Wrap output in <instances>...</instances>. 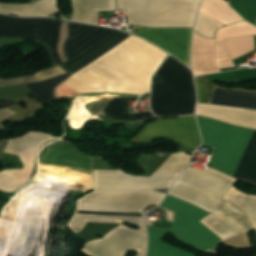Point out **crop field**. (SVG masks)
I'll use <instances>...</instances> for the list:
<instances>
[{"label":"crop field","instance_id":"obj_23","mask_svg":"<svg viewBox=\"0 0 256 256\" xmlns=\"http://www.w3.org/2000/svg\"><path fill=\"white\" fill-rule=\"evenodd\" d=\"M63 73H66V72L63 71L60 67L55 66L50 69L36 73L35 75H32V76L14 78V79H9V80H1L0 79V86L17 84V83L39 82V81L63 74Z\"/></svg>","mask_w":256,"mask_h":256},{"label":"crop field","instance_id":"obj_22","mask_svg":"<svg viewBox=\"0 0 256 256\" xmlns=\"http://www.w3.org/2000/svg\"><path fill=\"white\" fill-rule=\"evenodd\" d=\"M190 160L191 156L186 153L173 154L153 176L183 171L189 165Z\"/></svg>","mask_w":256,"mask_h":256},{"label":"crop field","instance_id":"obj_6","mask_svg":"<svg viewBox=\"0 0 256 256\" xmlns=\"http://www.w3.org/2000/svg\"><path fill=\"white\" fill-rule=\"evenodd\" d=\"M128 23L146 27H192L199 0H117Z\"/></svg>","mask_w":256,"mask_h":256},{"label":"crop field","instance_id":"obj_3","mask_svg":"<svg viewBox=\"0 0 256 256\" xmlns=\"http://www.w3.org/2000/svg\"><path fill=\"white\" fill-rule=\"evenodd\" d=\"M60 25L61 21L55 19L18 18L0 15V37L29 38L46 45L49 48L52 62L55 66L62 63L56 50ZM110 31L112 29L69 22V38L63 47L65 57H70ZM128 36L130 34L114 30L66 59L67 62L60 65V67L71 75L121 43Z\"/></svg>","mask_w":256,"mask_h":256},{"label":"crop field","instance_id":"obj_28","mask_svg":"<svg viewBox=\"0 0 256 256\" xmlns=\"http://www.w3.org/2000/svg\"><path fill=\"white\" fill-rule=\"evenodd\" d=\"M13 114H15V113L12 112V111H9V110H7V109L1 110V111H0V120L6 118V117H8V116H11V115H13Z\"/></svg>","mask_w":256,"mask_h":256},{"label":"crop field","instance_id":"obj_20","mask_svg":"<svg viewBox=\"0 0 256 256\" xmlns=\"http://www.w3.org/2000/svg\"><path fill=\"white\" fill-rule=\"evenodd\" d=\"M70 76L67 74L44 81L38 84H25L34 94L35 102L55 98V89Z\"/></svg>","mask_w":256,"mask_h":256},{"label":"crop field","instance_id":"obj_24","mask_svg":"<svg viewBox=\"0 0 256 256\" xmlns=\"http://www.w3.org/2000/svg\"><path fill=\"white\" fill-rule=\"evenodd\" d=\"M222 27L221 24L198 14L195 31L207 37L214 38L215 30Z\"/></svg>","mask_w":256,"mask_h":256},{"label":"crop field","instance_id":"obj_25","mask_svg":"<svg viewBox=\"0 0 256 256\" xmlns=\"http://www.w3.org/2000/svg\"><path fill=\"white\" fill-rule=\"evenodd\" d=\"M216 58L219 68L235 67L232 63L224 39L215 40Z\"/></svg>","mask_w":256,"mask_h":256},{"label":"crop field","instance_id":"obj_29","mask_svg":"<svg viewBox=\"0 0 256 256\" xmlns=\"http://www.w3.org/2000/svg\"><path fill=\"white\" fill-rule=\"evenodd\" d=\"M13 104H16V103L8 99L0 100V109Z\"/></svg>","mask_w":256,"mask_h":256},{"label":"crop field","instance_id":"obj_30","mask_svg":"<svg viewBox=\"0 0 256 256\" xmlns=\"http://www.w3.org/2000/svg\"><path fill=\"white\" fill-rule=\"evenodd\" d=\"M228 2V0H226Z\"/></svg>","mask_w":256,"mask_h":256},{"label":"crop field","instance_id":"obj_8","mask_svg":"<svg viewBox=\"0 0 256 256\" xmlns=\"http://www.w3.org/2000/svg\"><path fill=\"white\" fill-rule=\"evenodd\" d=\"M196 117L203 137V145L216 149L210 162L213 164L212 168L229 175L251 129Z\"/></svg>","mask_w":256,"mask_h":256},{"label":"crop field","instance_id":"obj_11","mask_svg":"<svg viewBox=\"0 0 256 256\" xmlns=\"http://www.w3.org/2000/svg\"><path fill=\"white\" fill-rule=\"evenodd\" d=\"M193 29H145L134 34L139 35L189 65L190 40ZM166 51V52H167Z\"/></svg>","mask_w":256,"mask_h":256},{"label":"crop field","instance_id":"obj_19","mask_svg":"<svg viewBox=\"0 0 256 256\" xmlns=\"http://www.w3.org/2000/svg\"><path fill=\"white\" fill-rule=\"evenodd\" d=\"M147 228L149 237L147 256H195L184 250L162 242L161 238L166 233L165 230L149 226H147Z\"/></svg>","mask_w":256,"mask_h":256},{"label":"crop field","instance_id":"obj_13","mask_svg":"<svg viewBox=\"0 0 256 256\" xmlns=\"http://www.w3.org/2000/svg\"><path fill=\"white\" fill-rule=\"evenodd\" d=\"M138 97H110L98 117H102L108 121H133L135 123H142L147 117H152L151 112L131 113L129 112L130 101H136Z\"/></svg>","mask_w":256,"mask_h":256},{"label":"crop field","instance_id":"obj_1","mask_svg":"<svg viewBox=\"0 0 256 256\" xmlns=\"http://www.w3.org/2000/svg\"><path fill=\"white\" fill-rule=\"evenodd\" d=\"M181 173L166 176L142 178L123 172L93 171V190H156L170 188ZM164 193L156 191H93L78 199V211L141 213L150 204L158 205ZM107 215H140L126 213H95ZM82 215L74 214L68 227L74 232L81 231L86 221L123 223L124 221L144 227L142 217Z\"/></svg>","mask_w":256,"mask_h":256},{"label":"crop field","instance_id":"obj_18","mask_svg":"<svg viewBox=\"0 0 256 256\" xmlns=\"http://www.w3.org/2000/svg\"><path fill=\"white\" fill-rule=\"evenodd\" d=\"M209 103L256 109V94L213 89Z\"/></svg>","mask_w":256,"mask_h":256},{"label":"crop field","instance_id":"obj_16","mask_svg":"<svg viewBox=\"0 0 256 256\" xmlns=\"http://www.w3.org/2000/svg\"><path fill=\"white\" fill-rule=\"evenodd\" d=\"M199 14L225 26L243 19L223 0H202Z\"/></svg>","mask_w":256,"mask_h":256},{"label":"crop field","instance_id":"obj_14","mask_svg":"<svg viewBox=\"0 0 256 256\" xmlns=\"http://www.w3.org/2000/svg\"><path fill=\"white\" fill-rule=\"evenodd\" d=\"M230 176L256 184V130H251Z\"/></svg>","mask_w":256,"mask_h":256},{"label":"crop field","instance_id":"obj_9","mask_svg":"<svg viewBox=\"0 0 256 256\" xmlns=\"http://www.w3.org/2000/svg\"><path fill=\"white\" fill-rule=\"evenodd\" d=\"M167 137L181 147V152H193L200 144L195 117L156 119L144 125L132 140L147 143L155 138Z\"/></svg>","mask_w":256,"mask_h":256},{"label":"crop field","instance_id":"obj_15","mask_svg":"<svg viewBox=\"0 0 256 256\" xmlns=\"http://www.w3.org/2000/svg\"><path fill=\"white\" fill-rule=\"evenodd\" d=\"M74 21L96 24L97 11L116 10L115 0H72Z\"/></svg>","mask_w":256,"mask_h":256},{"label":"crop field","instance_id":"obj_12","mask_svg":"<svg viewBox=\"0 0 256 256\" xmlns=\"http://www.w3.org/2000/svg\"><path fill=\"white\" fill-rule=\"evenodd\" d=\"M196 114L233 125L256 129V111L213 105H197Z\"/></svg>","mask_w":256,"mask_h":256},{"label":"crop field","instance_id":"obj_26","mask_svg":"<svg viewBox=\"0 0 256 256\" xmlns=\"http://www.w3.org/2000/svg\"><path fill=\"white\" fill-rule=\"evenodd\" d=\"M195 80L198 93V102L208 103L214 84L209 83L205 76L196 77Z\"/></svg>","mask_w":256,"mask_h":256},{"label":"crop field","instance_id":"obj_4","mask_svg":"<svg viewBox=\"0 0 256 256\" xmlns=\"http://www.w3.org/2000/svg\"><path fill=\"white\" fill-rule=\"evenodd\" d=\"M166 55V52L132 35L97 60L149 86L151 76ZM97 60L72 76L102 92L149 93V87Z\"/></svg>","mask_w":256,"mask_h":256},{"label":"crop field","instance_id":"obj_5","mask_svg":"<svg viewBox=\"0 0 256 256\" xmlns=\"http://www.w3.org/2000/svg\"><path fill=\"white\" fill-rule=\"evenodd\" d=\"M155 76L151 106L157 116H174L194 113L195 93L192 73L177 60L168 56Z\"/></svg>","mask_w":256,"mask_h":256},{"label":"crop field","instance_id":"obj_7","mask_svg":"<svg viewBox=\"0 0 256 256\" xmlns=\"http://www.w3.org/2000/svg\"><path fill=\"white\" fill-rule=\"evenodd\" d=\"M235 182L237 180L213 169L205 173L188 168L175 182L169 195L191 202L210 213Z\"/></svg>","mask_w":256,"mask_h":256},{"label":"crop field","instance_id":"obj_27","mask_svg":"<svg viewBox=\"0 0 256 256\" xmlns=\"http://www.w3.org/2000/svg\"><path fill=\"white\" fill-rule=\"evenodd\" d=\"M64 83L83 93H100V91L92 88L91 86L79 81L78 79L72 76Z\"/></svg>","mask_w":256,"mask_h":256},{"label":"crop field","instance_id":"obj_10","mask_svg":"<svg viewBox=\"0 0 256 256\" xmlns=\"http://www.w3.org/2000/svg\"><path fill=\"white\" fill-rule=\"evenodd\" d=\"M82 251L90 256H127L128 251H137L136 256H144L146 252L145 228L133 230L120 225L103 239L87 243Z\"/></svg>","mask_w":256,"mask_h":256},{"label":"crop field","instance_id":"obj_17","mask_svg":"<svg viewBox=\"0 0 256 256\" xmlns=\"http://www.w3.org/2000/svg\"><path fill=\"white\" fill-rule=\"evenodd\" d=\"M58 11L57 0H39L33 4L13 5L0 3V13L19 16H47Z\"/></svg>","mask_w":256,"mask_h":256},{"label":"crop field","instance_id":"obj_21","mask_svg":"<svg viewBox=\"0 0 256 256\" xmlns=\"http://www.w3.org/2000/svg\"><path fill=\"white\" fill-rule=\"evenodd\" d=\"M245 35H256V27L246 22L235 23L218 29L215 33V39Z\"/></svg>","mask_w":256,"mask_h":256},{"label":"crop field","instance_id":"obj_2","mask_svg":"<svg viewBox=\"0 0 256 256\" xmlns=\"http://www.w3.org/2000/svg\"><path fill=\"white\" fill-rule=\"evenodd\" d=\"M159 206L175 212L176 223L169 231L180 241L210 252H214L219 241L256 227V196L246 195L233 186L211 214L169 195ZM200 219L221 240L199 223Z\"/></svg>","mask_w":256,"mask_h":256}]
</instances>
